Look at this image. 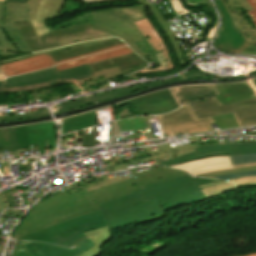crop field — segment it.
<instances>
[{"label": "crop field", "instance_id": "crop-field-1", "mask_svg": "<svg viewBox=\"0 0 256 256\" xmlns=\"http://www.w3.org/2000/svg\"><path fill=\"white\" fill-rule=\"evenodd\" d=\"M217 182L193 178L187 174L159 183L144 186V189L111 199L99 205L110 229L137 222L163 213L164 210L184 204L207 200L197 185Z\"/></svg>", "mask_w": 256, "mask_h": 256}, {"label": "crop field", "instance_id": "crop-field-2", "mask_svg": "<svg viewBox=\"0 0 256 256\" xmlns=\"http://www.w3.org/2000/svg\"><path fill=\"white\" fill-rule=\"evenodd\" d=\"M92 13L76 17L58 25L57 29L49 28L50 33L37 37L30 22L15 23L33 52L51 49L82 41L111 37L113 35L93 30Z\"/></svg>", "mask_w": 256, "mask_h": 256}, {"label": "crop field", "instance_id": "crop-field-3", "mask_svg": "<svg viewBox=\"0 0 256 256\" xmlns=\"http://www.w3.org/2000/svg\"><path fill=\"white\" fill-rule=\"evenodd\" d=\"M94 29L113 34L125 41L141 57L147 54L150 62L158 64L147 41L137 30L132 22L144 19V8L136 7H114L105 10L94 11Z\"/></svg>", "mask_w": 256, "mask_h": 256}, {"label": "crop field", "instance_id": "crop-field-4", "mask_svg": "<svg viewBox=\"0 0 256 256\" xmlns=\"http://www.w3.org/2000/svg\"><path fill=\"white\" fill-rule=\"evenodd\" d=\"M94 76L89 65L57 72L56 67L7 78L9 86L0 87V93L25 92L65 84Z\"/></svg>", "mask_w": 256, "mask_h": 256}, {"label": "crop field", "instance_id": "crop-field-5", "mask_svg": "<svg viewBox=\"0 0 256 256\" xmlns=\"http://www.w3.org/2000/svg\"><path fill=\"white\" fill-rule=\"evenodd\" d=\"M195 119L233 112L240 127L256 124V99L222 106L216 98L188 103Z\"/></svg>", "mask_w": 256, "mask_h": 256}, {"label": "crop field", "instance_id": "crop-field-6", "mask_svg": "<svg viewBox=\"0 0 256 256\" xmlns=\"http://www.w3.org/2000/svg\"><path fill=\"white\" fill-rule=\"evenodd\" d=\"M183 174H186V172H181L164 167L152 169L146 172L135 174L134 176L136 178H132L121 183L113 184L98 189L92 192L90 195L97 204H100L111 198L127 194L131 191L139 190L144 185L152 184L158 181H162Z\"/></svg>", "mask_w": 256, "mask_h": 256}, {"label": "crop field", "instance_id": "crop-field-7", "mask_svg": "<svg viewBox=\"0 0 256 256\" xmlns=\"http://www.w3.org/2000/svg\"><path fill=\"white\" fill-rule=\"evenodd\" d=\"M14 240L50 242L66 247L77 246L84 251L95 245L76 226L60 230L56 224Z\"/></svg>", "mask_w": 256, "mask_h": 256}, {"label": "crop field", "instance_id": "crop-field-8", "mask_svg": "<svg viewBox=\"0 0 256 256\" xmlns=\"http://www.w3.org/2000/svg\"><path fill=\"white\" fill-rule=\"evenodd\" d=\"M157 117L164 133H169V135H175L182 132L191 134L213 130L209 124L213 123L211 118L194 120L187 105L170 114Z\"/></svg>", "mask_w": 256, "mask_h": 256}, {"label": "crop field", "instance_id": "crop-field-9", "mask_svg": "<svg viewBox=\"0 0 256 256\" xmlns=\"http://www.w3.org/2000/svg\"><path fill=\"white\" fill-rule=\"evenodd\" d=\"M30 21L28 4L0 3V27L3 28L18 52H32L14 22Z\"/></svg>", "mask_w": 256, "mask_h": 256}, {"label": "crop field", "instance_id": "crop-field-10", "mask_svg": "<svg viewBox=\"0 0 256 256\" xmlns=\"http://www.w3.org/2000/svg\"><path fill=\"white\" fill-rule=\"evenodd\" d=\"M192 145L196 152L178 156L177 159L161 162L155 165L171 166L207 156L256 153V142L242 144H214L204 146H199L198 143H196Z\"/></svg>", "mask_w": 256, "mask_h": 256}, {"label": "crop field", "instance_id": "crop-field-11", "mask_svg": "<svg viewBox=\"0 0 256 256\" xmlns=\"http://www.w3.org/2000/svg\"><path fill=\"white\" fill-rule=\"evenodd\" d=\"M183 76L185 79H173V80H167V81L152 82V83H148V84H142V85H138V86L115 90V91H111V92H107V93H100V94L92 95V96H89L86 98H81V99H77L74 101L66 102V103H63V104L55 107V110L53 111V113H58V112H63L68 109L83 107L86 105H90L92 103L100 102L102 100H107V99H111L113 97L130 94L137 90L145 89L147 87L161 85L163 83L175 82V81L186 80V79H194V78L209 79V77L199 74L194 69H192L190 72L184 74Z\"/></svg>", "mask_w": 256, "mask_h": 256}, {"label": "crop field", "instance_id": "crop-field-12", "mask_svg": "<svg viewBox=\"0 0 256 256\" xmlns=\"http://www.w3.org/2000/svg\"><path fill=\"white\" fill-rule=\"evenodd\" d=\"M60 198V199H58ZM94 201L88 192H81L75 194H69L60 196L52 199L51 201L45 203L41 207L35 209L31 213H29L26 218L23 220L20 226L29 224L31 222L43 219L57 211L65 209L67 207L84 204L88 202ZM19 226V227H20Z\"/></svg>", "mask_w": 256, "mask_h": 256}, {"label": "crop field", "instance_id": "crop-field-13", "mask_svg": "<svg viewBox=\"0 0 256 256\" xmlns=\"http://www.w3.org/2000/svg\"><path fill=\"white\" fill-rule=\"evenodd\" d=\"M130 101L137 115L163 114L178 108L168 89Z\"/></svg>", "mask_w": 256, "mask_h": 256}, {"label": "crop field", "instance_id": "crop-field-14", "mask_svg": "<svg viewBox=\"0 0 256 256\" xmlns=\"http://www.w3.org/2000/svg\"><path fill=\"white\" fill-rule=\"evenodd\" d=\"M123 45H125V43L120 44V45H116V46H113V47H110V48H106V49H103V50H100V51H96V52L76 56V57L66 59V60H63V61H60V62H56V63H53L54 61L52 62L49 55L45 56L43 54V55H39V56H36V57H32V58H28V59H24V60H20V61H16V62L1 64L0 69L3 72V74L6 77H8V76H12V75H17V74H22V73H27V72H31V71H36V70L48 68V67L54 66V65H56L58 63H61V62H65V61L85 57V56H88V55L96 54V53H99V52L107 51V50H110V49L118 48V47H121Z\"/></svg>", "mask_w": 256, "mask_h": 256}, {"label": "crop field", "instance_id": "crop-field-15", "mask_svg": "<svg viewBox=\"0 0 256 256\" xmlns=\"http://www.w3.org/2000/svg\"><path fill=\"white\" fill-rule=\"evenodd\" d=\"M135 26L139 29L142 35L147 39L151 49L153 50L154 55L156 56L157 60L159 61V66L153 70H142L137 73H144V72H154V71H161L166 69L174 68L170 56L169 51L164 45L155 30L152 24L149 22L148 19H144L141 21L134 22Z\"/></svg>", "mask_w": 256, "mask_h": 256}, {"label": "crop field", "instance_id": "crop-field-16", "mask_svg": "<svg viewBox=\"0 0 256 256\" xmlns=\"http://www.w3.org/2000/svg\"><path fill=\"white\" fill-rule=\"evenodd\" d=\"M63 4L64 0H29L31 23L38 36L49 32L45 21L55 18Z\"/></svg>", "mask_w": 256, "mask_h": 256}, {"label": "crop field", "instance_id": "crop-field-17", "mask_svg": "<svg viewBox=\"0 0 256 256\" xmlns=\"http://www.w3.org/2000/svg\"><path fill=\"white\" fill-rule=\"evenodd\" d=\"M222 18V29L214 44L218 49L231 53L239 46L247 43L237 31L221 0H214Z\"/></svg>", "mask_w": 256, "mask_h": 256}, {"label": "crop field", "instance_id": "crop-field-18", "mask_svg": "<svg viewBox=\"0 0 256 256\" xmlns=\"http://www.w3.org/2000/svg\"><path fill=\"white\" fill-rule=\"evenodd\" d=\"M96 210H100V209L95 202L67 208V209L62 210V211H60L52 216H49L43 220H40V221H37V222L31 223L29 225L18 228L17 231L12 235L11 238H15L20 235L44 228L53 223L61 222L70 217H73V216H77L80 214H84V213H88V212H92V211H96Z\"/></svg>", "mask_w": 256, "mask_h": 256}, {"label": "crop field", "instance_id": "crop-field-19", "mask_svg": "<svg viewBox=\"0 0 256 256\" xmlns=\"http://www.w3.org/2000/svg\"><path fill=\"white\" fill-rule=\"evenodd\" d=\"M221 95L216 98L224 105L240 100L256 98V79L242 83L216 85Z\"/></svg>", "mask_w": 256, "mask_h": 256}, {"label": "crop field", "instance_id": "crop-field-20", "mask_svg": "<svg viewBox=\"0 0 256 256\" xmlns=\"http://www.w3.org/2000/svg\"><path fill=\"white\" fill-rule=\"evenodd\" d=\"M171 167L187 170L193 176L233 169L230 156L207 157Z\"/></svg>", "mask_w": 256, "mask_h": 256}, {"label": "crop field", "instance_id": "crop-field-21", "mask_svg": "<svg viewBox=\"0 0 256 256\" xmlns=\"http://www.w3.org/2000/svg\"><path fill=\"white\" fill-rule=\"evenodd\" d=\"M169 91L179 106L187 102L209 99L219 94L215 85L183 86L170 88Z\"/></svg>", "mask_w": 256, "mask_h": 256}, {"label": "crop field", "instance_id": "crop-field-22", "mask_svg": "<svg viewBox=\"0 0 256 256\" xmlns=\"http://www.w3.org/2000/svg\"><path fill=\"white\" fill-rule=\"evenodd\" d=\"M223 3L239 32L254 27L245 11L252 10L246 0H223Z\"/></svg>", "mask_w": 256, "mask_h": 256}, {"label": "crop field", "instance_id": "crop-field-23", "mask_svg": "<svg viewBox=\"0 0 256 256\" xmlns=\"http://www.w3.org/2000/svg\"><path fill=\"white\" fill-rule=\"evenodd\" d=\"M23 247L26 249L29 256H77L84 252L77 247L69 250L45 243L33 242H30Z\"/></svg>", "mask_w": 256, "mask_h": 256}, {"label": "crop field", "instance_id": "crop-field-24", "mask_svg": "<svg viewBox=\"0 0 256 256\" xmlns=\"http://www.w3.org/2000/svg\"><path fill=\"white\" fill-rule=\"evenodd\" d=\"M95 77L69 83L75 93L99 85L107 80L121 76L117 66L93 72Z\"/></svg>", "mask_w": 256, "mask_h": 256}, {"label": "crop field", "instance_id": "crop-field-25", "mask_svg": "<svg viewBox=\"0 0 256 256\" xmlns=\"http://www.w3.org/2000/svg\"><path fill=\"white\" fill-rule=\"evenodd\" d=\"M60 229L76 225L82 232L107 226L101 211L76 217L57 224Z\"/></svg>", "mask_w": 256, "mask_h": 256}, {"label": "crop field", "instance_id": "crop-field-26", "mask_svg": "<svg viewBox=\"0 0 256 256\" xmlns=\"http://www.w3.org/2000/svg\"><path fill=\"white\" fill-rule=\"evenodd\" d=\"M137 3H139L140 5H143L145 7H147L150 12L154 15L156 21L158 22L159 26L162 28V30L165 32V34L168 36V38L170 39L175 52L179 58V61L181 63V66L188 63L182 53V49L179 45V43L177 42L176 38L174 37L173 33L171 32L167 22L165 21V19L163 18L162 14L160 13V11L158 10L157 7L147 3L144 0H138L136 1Z\"/></svg>", "mask_w": 256, "mask_h": 256}, {"label": "crop field", "instance_id": "crop-field-27", "mask_svg": "<svg viewBox=\"0 0 256 256\" xmlns=\"http://www.w3.org/2000/svg\"><path fill=\"white\" fill-rule=\"evenodd\" d=\"M144 61L135 53L90 64L92 71L118 65L120 69L139 65Z\"/></svg>", "mask_w": 256, "mask_h": 256}, {"label": "crop field", "instance_id": "crop-field-28", "mask_svg": "<svg viewBox=\"0 0 256 256\" xmlns=\"http://www.w3.org/2000/svg\"><path fill=\"white\" fill-rule=\"evenodd\" d=\"M132 52L133 51L128 47H122V48H118L114 51L98 54L95 56H91V57H87V58H83V59H79V60H75V61H71V62H67V63H63V64H59V65H56V67H57V70L59 71V70H63V69L71 68V67L90 64V63L97 62V61H100L103 59L120 56V55H124V54H128V53H132Z\"/></svg>", "mask_w": 256, "mask_h": 256}, {"label": "crop field", "instance_id": "crop-field-29", "mask_svg": "<svg viewBox=\"0 0 256 256\" xmlns=\"http://www.w3.org/2000/svg\"><path fill=\"white\" fill-rule=\"evenodd\" d=\"M157 149L158 151L152 152L150 147L144 148V151L146 152L148 157L142 158L141 159L142 163L155 160L158 158L166 157V156H171L174 154L178 156V155L194 152V149L192 148L190 143L173 148V149H171L168 144H165V145L157 146ZM150 152H152V154H150Z\"/></svg>", "mask_w": 256, "mask_h": 256}, {"label": "crop field", "instance_id": "crop-field-30", "mask_svg": "<svg viewBox=\"0 0 256 256\" xmlns=\"http://www.w3.org/2000/svg\"><path fill=\"white\" fill-rule=\"evenodd\" d=\"M95 125V111L65 118L62 120V134H66L67 130H81Z\"/></svg>", "mask_w": 256, "mask_h": 256}, {"label": "crop field", "instance_id": "crop-field-31", "mask_svg": "<svg viewBox=\"0 0 256 256\" xmlns=\"http://www.w3.org/2000/svg\"><path fill=\"white\" fill-rule=\"evenodd\" d=\"M84 234L90 238L96 245L90 250L86 251L80 256H95L97 253L101 252L100 246L104 244L109 238H111V234L109 231V227H103L96 230L84 232ZM98 255V254H97Z\"/></svg>", "mask_w": 256, "mask_h": 256}, {"label": "crop field", "instance_id": "crop-field-32", "mask_svg": "<svg viewBox=\"0 0 256 256\" xmlns=\"http://www.w3.org/2000/svg\"><path fill=\"white\" fill-rule=\"evenodd\" d=\"M120 43H123V42L121 40L117 39V40H114V41H110V42L100 44V45H97V46H93V47H90V48H86V49H84L83 46H81V47H77V48L70 49V50H67V51H61V52H58V53H55V54H51L50 57L52 58V60L54 62H56V61H60V60L66 59V58L76 56V55H80V54L100 50V49L110 47V46L120 44Z\"/></svg>", "mask_w": 256, "mask_h": 256}, {"label": "crop field", "instance_id": "crop-field-33", "mask_svg": "<svg viewBox=\"0 0 256 256\" xmlns=\"http://www.w3.org/2000/svg\"><path fill=\"white\" fill-rule=\"evenodd\" d=\"M114 39H117V38H107V39H100V40H94V41H89V42L77 43V44H73V45H69V46H65V47L51 49V50L44 51V52H38V53H34V54L21 55V56L9 58V59L0 60V64L1 63L15 61V60H19V59H23V58H27V57L36 56V55L43 54V53H45L47 55V54H51V53H55V52H58V51H61V50H66V49L74 48V47L81 46V45H83L84 48H86V47H90V46L97 45V44H100V43H104V42H107V41H110V40H114Z\"/></svg>", "mask_w": 256, "mask_h": 256}, {"label": "crop field", "instance_id": "crop-field-34", "mask_svg": "<svg viewBox=\"0 0 256 256\" xmlns=\"http://www.w3.org/2000/svg\"><path fill=\"white\" fill-rule=\"evenodd\" d=\"M3 147V151L17 150L16 140L13 127L0 129V148Z\"/></svg>", "mask_w": 256, "mask_h": 256}, {"label": "crop field", "instance_id": "crop-field-35", "mask_svg": "<svg viewBox=\"0 0 256 256\" xmlns=\"http://www.w3.org/2000/svg\"><path fill=\"white\" fill-rule=\"evenodd\" d=\"M28 133L31 145L39 143L40 154L45 153L44 142H42L39 124L28 125Z\"/></svg>", "mask_w": 256, "mask_h": 256}, {"label": "crop field", "instance_id": "crop-field-36", "mask_svg": "<svg viewBox=\"0 0 256 256\" xmlns=\"http://www.w3.org/2000/svg\"><path fill=\"white\" fill-rule=\"evenodd\" d=\"M213 120L220 129L239 127L232 113L214 117Z\"/></svg>", "mask_w": 256, "mask_h": 256}, {"label": "crop field", "instance_id": "crop-field-37", "mask_svg": "<svg viewBox=\"0 0 256 256\" xmlns=\"http://www.w3.org/2000/svg\"><path fill=\"white\" fill-rule=\"evenodd\" d=\"M14 129H15L18 149H22L30 146L29 138L27 134V127L26 126L14 127Z\"/></svg>", "mask_w": 256, "mask_h": 256}, {"label": "crop field", "instance_id": "crop-field-38", "mask_svg": "<svg viewBox=\"0 0 256 256\" xmlns=\"http://www.w3.org/2000/svg\"><path fill=\"white\" fill-rule=\"evenodd\" d=\"M14 51L17 52L11 41L8 39L2 28H0V56L16 54L12 52L6 51Z\"/></svg>", "mask_w": 256, "mask_h": 256}, {"label": "crop field", "instance_id": "crop-field-39", "mask_svg": "<svg viewBox=\"0 0 256 256\" xmlns=\"http://www.w3.org/2000/svg\"><path fill=\"white\" fill-rule=\"evenodd\" d=\"M235 189H238V187L235 185H232L230 183H227V184H223V185H219V186L202 189L201 191H203L204 194L206 195V197L208 198L211 196L221 194L222 192L231 191V190H235Z\"/></svg>", "mask_w": 256, "mask_h": 256}, {"label": "crop field", "instance_id": "crop-field-40", "mask_svg": "<svg viewBox=\"0 0 256 256\" xmlns=\"http://www.w3.org/2000/svg\"><path fill=\"white\" fill-rule=\"evenodd\" d=\"M45 115H49V112L41 110V111L30 112L28 114L19 115V116L9 115V116H5V117H3L2 113H0V121L37 118V117H42V116H45Z\"/></svg>", "mask_w": 256, "mask_h": 256}, {"label": "crop field", "instance_id": "crop-field-41", "mask_svg": "<svg viewBox=\"0 0 256 256\" xmlns=\"http://www.w3.org/2000/svg\"><path fill=\"white\" fill-rule=\"evenodd\" d=\"M38 93H39L43 103L61 98L59 93L54 91L52 88L38 90Z\"/></svg>", "mask_w": 256, "mask_h": 256}, {"label": "crop field", "instance_id": "crop-field-42", "mask_svg": "<svg viewBox=\"0 0 256 256\" xmlns=\"http://www.w3.org/2000/svg\"><path fill=\"white\" fill-rule=\"evenodd\" d=\"M233 165L256 162V154L231 156Z\"/></svg>", "mask_w": 256, "mask_h": 256}, {"label": "crop field", "instance_id": "crop-field-43", "mask_svg": "<svg viewBox=\"0 0 256 256\" xmlns=\"http://www.w3.org/2000/svg\"><path fill=\"white\" fill-rule=\"evenodd\" d=\"M96 136V127L92 128V135L87 134V130H83L82 147H94Z\"/></svg>", "mask_w": 256, "mask_h": 256}, {"label": "crop field", "instance_id": "crop-field-44", "mask_svg": "<svg viewBox=\"0 0 256 256\" xmlns=\"http://www.w3.org/2000/svg\"><path fill=\"white\" fill-rule=\"evenodd\" d=\"M233 182L241 187H252L256 186V177H244V178H239V179H234V180H226Z\"/></svg>", "mask_w": 256, "mask_h": 256}, {"label": "crop field", "instance_id": "crop-field-45", "mask_svg": "<svg viewBox=\"0 0 256 256\" xmlns=\"http://www.w3.org/2000/svg\"><path fill=\"white\" fill-rule=\"evenodd\" d=\"M127 179H129V176L123 177V178H120V179H116V180H113V178H111V179L105 180V181H103V182H101V183H99V184H95V185L89 187V188L87 189V191H88L89 194H90L93 190H95V189H97V188H101L102 185L105 186V185H109V184L121 182V181L127 180Z\"/></svg>", "mask_w": 256, "mask_h": 256}, {"label": "crop field", "instance_id": "crop-field-46", "mask_svg": "<svg viewBox=\"0 0 256 256\" xmlns=\"http://www.w3.org/2000/svg\"><path fill=\"white\" fill-rule=\"evenodd\" d=\"M241 35L250 45L254 44L256 46V28L241 32Z\"/></svg>", "mask_w": 256, "mask_h": 256}, {"label": "crop field", "instance_id": "crop-field-47", "mask_svg": "<svg viewBox=\"0 0 256 256\" xmlns=\"http://www.w3.org/2000/svg\"><path fill=\"white\" fill-rule=\"evenodd\" d=\"M250 170H256V167H248V168L236 169V170H231V171L214 172V173L199 175V176L200 177H213V176H217V175L230 174V173L243 172V171H250Z\"/></svg>", "mask_w": 256, "mask_h": 256}, {"label": "crop field", "instance_id": "crop-field-48", "mask_svg": "<svg viewBox=\"0 0 256 256\" xmlns=\"http://www.w3.org/2000/svg\"><path fill=\"white\" fill-rule=\"evenodd\" d=\"M243 176H256V171L236 173V174L218 176V177H214V178L220 179V180H226V179H233V178H238V177H243Z\"/></svg>", "mask_w": 256, "mask_h": 256}, {"label": "crop field", "instance_id": "crop-field-49", "mask_svg": "<svg viewBox=\"0 0 256 256\" xmlns=\"http://www.w3.org/2000/svg\"><path fill=\"white\" fill-rule=\"evenodd\" d=\"M46 125L48 130L49 148H55V134L53 122H48L46 123Z\"/></svg>", "mask_w": 256, "mask_h": 256}, {"label": "crop field", "instance_id": "crop-field-50", "mask_svg": "<svg viewBox=\"0 0 256 256\" xmlns=\"http://www.w3.org/2000/svg\"><path fill=\"white\" fill-rule=\"evenodd\" d=\"M190 7H196V8H200V9H205L207 13H212L215 17L217 16L216 12L214 10V7H213L211 2H205V3L193 5V6H190Z\"/></svg>", "mask_w": 256, "mask_h": 256}, {"label": "crop field", "instance_id": "crop-field-51", "mask_svg": "<svg viewBox=\"0 0 256 256\" xmlns=\"http://www.w3.org/2000/svg\"><path fill=\"white\" fill-rule=\"evenodd\" d=\"M247 2L251 5V7L254 9L252 11H248L247 14L253 21V23L256 26V0H247Z\"/></svg>", "mask_w": 256, "mask_h": 256}, {"label": "crop field", "instance_id": "crop-field-52", "mask_svg": "<svg viewBox=\"0 0 256 256\" xmlns=\"http://www.w3.org/2000/svg\"><path fill=\"white\" fill-rule=\"evenodd\" d=\"M3 216H7V217H14V218H18L20 219V217L22 216V213L19 212V210H5Z\"/></svg>", "mask_w": 256, "mask_h": 256}, {"label": "crop field", "instance_id": "crop-field-53", "mask_svg": "<svg viewBox=\"0 0 256 256\" xmlns=\"http://www.w3.org/2000/svg\"><path fill=\"white\" fill-rule=\"evenodd\" d=\"M146 66H148V63L145 62V63H143V64H141L139 66H136V67H131V68L123 69V70H121V72L124 75V74H128V73L134 72V71H136L138 69H141L143 67H146Z\"/></svg>", "mask_w": 256, "mask_h": 256}, {"label": "crop field", "instance_id": "crop-field-54", "mask_svg": "<svg viewBox=\"0 0 256 256\" xmlns=\"http://www.w3.org/2000/svg\"><path fill=\"white\" fill-rule=\"evenodd\" d=\"M108 166H106L105 168L107 169L108 172H113V171H119V170H123L126 169V166L124 165V163L118 165V166H114L112 167L110 164H107Z\"/></svg>", "mask_w": 256, "mask_h": 256}, {"label": "crop field", "instance_id": "crop-field-55", "mask_svg": "<svg viewBox=\"0 0 256 256\" xmlns=\"http://www.w3.org/2000/svg\"><path fill=\"white\" fill-rule=\"evenodd\" d=\"M1 198L4 200V202L6 203V205L10 204V205H14V201L11 197V195L9 194V192L1 195Z\"/></svg>", "mask_w": 256, "mask_h": 256}, {"label": "crop field", "instance_id": "crop-field-56", "mask_svg": "<svg viewBox=\"0 0 256 256\" xmlns=\"http://www.w3.org/2000/svg\"><path fill=\"white\" fill-rule=\"evenodd\" d=\"M21 250H23V252H21ZM13 256H28V255L25 253L24 249L17 244Z\"/></svg>", "mask_w": 256, "mask_h": 256}, {"label": "crop field", "instance_id": "crop-field-57", "mask_svg": "<svg viewBox=\"0 0 256 256\" xmlns=\"http://www.w3.org/2000/svg\"><path fill=\"white\" fill-rule=\"evenodd\" d=\"M164 216H168L166 212L163 213V214H160V215H157V216H154V217L142 220V221L134 223V224H143V223H146V222H149V221H152L154 219H158V218H161V217H164Z\"/></svg>", "mask_w": 256, "mask_h": 256}, {"label": "crop field", "instance_id": "crop-field-58", "mask_svg": "<svg viewBox=\"0 0 256 256\" xmlns=\"http://www.w3.org/2000/svg\"><path fill=\"white\" fill-rule=\"evenodd\" d=\"M40 127H41L42 139L47 140V131H46L45 123H40Z\"/></svg>", "mask_w": 256, "mask_h": 256}, {"label": "crop field", "instance_id": "crop-field-59", "mask_svg": "<svg viewBox=\"0 0 256 256\" xmlns=\"http://www.w3.org/2000/svg\"><path fill=\"white\" fill-rule=\"evenodd\" d=\"M1 165H2V170H0V172H1L3 175H4V174H7V173L10 174L8 162H4V163H2Z\"/></svg>", "mask_w": 256, "mask_h": 256}, {"label": "crop field", "instance_id": "crop-field-60", "mask_svg": "<svg viewBox=\"0 0 256 256\" xmlns=\"http://www.w3.org/2000/svg\"><path fill=\"white\" fill-rule=\"evenodd\" d=\"M139 158H142V155H140V156H136V157H135V158H133V159H129V160L122 161V162H124V163H125V165H127V164H130V163H133V162L139 161Z\"/></svg>", "mask_w": 256, "mask_h": 256}, {"label": "crop field", "instance_id": "crop-field-61", "mask_svg": "<svg viewBox=\"0 0 256 256\" xmlns=\"http://www.w3.org/2000/svg\"><path fill=\"white\" fill-rule=\"evenodd\" d=\"M223 183H227V182H223V181H220V182H217V183H213V184H207V185H201L199 186V188H206V187H210V186H214V185H219V184H223Z\"/></svg>", "mask_w": 256, "mask_h": 256}, {"label": "crop field", "instance_id": "crop-field-62", "mask_svg": "<svg viewBox=\"0 0 256 256\" xmlns=\"http://www.w3.org/2000/svg\"><path fill=\"white\" fill-rule=\"evenodd\" d=\"M248 46H250L248 43L239 47L237 50H235L233 53H240L242 52L244 49H246Z\"/></svg>", "mask_w": 256, "mask_h": 256}, {"label": "crop field", "instance_id": "crop-field-63", "mask_svg": "<svg viewBox=\"0 0 256 256\" xmlns=\"http://www.w3.org/2000/svg\"><path fill=\"white\" fill-rule=\"evenodd\" d=\"M5 77H4V75L0 72V86H3V85H8L7 84V81L5 80H3Z\"/></svg>", "mask_w": 256, "mask_h": 256}, {"label": "crop field", "instance_id": "crop-field-64", "mask_svg": "<svg viewBox=\"0 0 256 256\" xmlns=\"http://www.w3.org/2000/svg\"><path fill=\"white\" fill-rule=\"evenodd\" d=\"M247 166H256V163L244 164V165H237L233 166L235 168L247 167Z\"/></svg>", "mask_w": 256, "mask_h": 256}, {"label": "crop field", "instance_id": "crop-field-65", "mask_svg": "<svg viewBox=\"0 0 256 256\" xmlns=\"http://www.w3.org/2000/svg\"><path fill=\"white\" fill-rule=\"evenodd\" d=\"M81 1L89 4V3H96V2H100V1H106V0H81ZM102 6H104V5H102Z\"/></svg>", "mask_w": 256, "mask_h": 256}, {"label": "crop field", "instance_id": "crop-field-66", "mask_svg": "<svg viewBox=\"0 0 256 256\" xmlns=\"http://www.w3.org/2000/svg\"><path fill=\"white\" fill-rule=\"evenodd\" d=\"M187 1L189 4H193V3H198V2L208 1V0H187Z\"/></svg>", "mask_w": 256, "mask_h": 256}, {"label": "crop field", "instance_id": "crop-field-67", "mask_svg": "<svg viewBox=\"0 0 256 256\" xmlns=\"http://www.w3.org/2000/svg\"><path fill=\"white\" fill-rule=\"evenodd\" d=\"M6 2H26V3H28V0H6Z\"/></svg>", "mask_w": 256, "mask_h": 256}, {"label": "crop field", "instance_id": "crop-field-68", "mask_svg": "<svg viewBox=\"0 0 256 256\" xmlns=\"http://www.w3.org/2000/svg\"><path fill=\"white\" fill-rule=\"evenodd\" d=\"M188 140L190 142H193V141H199L200 139H199V137H189Z\"/></svg>", "mask_w": 256, "mask_h": 256}, {"label": "crop field", "instance_id": "crop-field-69", "mask_svg": "<svg viewBox=\"0 0 256 256\" xmlns=\"http://www.w3.org/2000/svg\"><path fill=\"white\" fill-rule=\"evenodd\" d=\"M5 203L2 201V199L0 198V211H2V208H5Z\"/></svg>", "mask_w": 256, "mask_h": 256}, {"label": "crop field", "instance_id": "crop-field-70", "mask_svg": "<svg viewBox=\"0 0 256 256\" xmlns=\"http://www.w3.org/2000/svg\"><path fill=\"white\" fill-rule=\"evenodd\" d=\"M139 145H140V143L133 144L134 147H137V146H139ZM140 146H141V145H140Z\"/></svg>", "mask_w": 256, "mask_h": 256}, {"label": "crop field", "instance_id": "crop-field-71", "mask_svg": "<svg viewBox=\"0 0 256 256\" xmlns=\"http://www.w3.org/2000/svg\"><path fill=\"white\" fill-rule=\"evenodd\" d=\"M246 256H256L255 254H252V255H246Z\"/></svg>", "mask_w": 256, "mask_h": 256}, {"label": "crop field", "instance_id": "crop-field-72", "mask_svg": "<svg viewBox=\"0 0 256 256\" xmlns=\"http://www.w3.org/2000/svg\"><path fill=\"white\" fill-rule=\"evenodd\" d=\"M3 249L0 247V253H2Z\"/></svg>", "mask_w": 256, "mask_h": 256}, {"label": "crop field", "instance_id": "crop-field-73", "mask_svg": "<svg viewBox=\"0 0 256 256\" xmlns=\"http://www.w3.org/2000/svg\"><path fill=\"white\" fill-rule=\"evenodd\" d=\"M0 2H5V0H0Z\"/></svg>", "mask_w": 256, "mask_h": 256}]
</instances>
